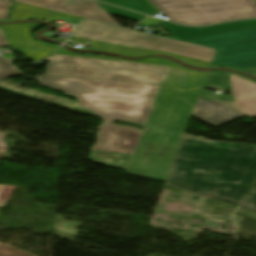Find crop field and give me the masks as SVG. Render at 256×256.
I'll return each mask as SVG.
<instances>
[{"label": "crop field", "instance_id": "1", "mask_svg": "<svg viewBox=\"0 0 256 256\" xmlns=\"http://www.w3.org/2000/svg\"><path fill=\"white\" fill-rule=\"evenodd\" d=\"M45 75L162 84L126 173L166 181L207 76L172 68L53 55Z\"/></svg>", "mask_w": 256, "mask_h": 256}, {"label": "crop field", "instance_id": "2", "mask_svg": "<svg viewBox=\"0 0 256 256\" xmlns=\"http://www.w3.org/2000/svg\"><path fill=\"white\" fill-rule=\"evenodd\" d=\"M36 82L74 96L82 107L98 114L93 162L125 170L142 131L110 123L124 120L145 123L161 85L36 75Z\"/></svg>", "mask_w": 256, "mask_h": 256}, {"label": "crop field", "instance_id": "3", "mask_svg": "<svg viewBox=\"0 0 256 256\" xmlns=\"http://www.w3.org/2000/svg\"><path fill=\"white\" fill-rule=\"evenodd\" d=\"M166 183L256 213V145L185 138Z\"/></svg>", "mask_w": 256, "mask_h": 256}, {"label": "crop field", "instance_id": "4", "mask_svg": "<svg viewBox=\"0 0 256 256\" xmlns=\"http://www.w3.org/2000/svg\"><path fill=\"white\" fill-rule=\"evenodd\" d=\"M170 21L203 25L256 17L254 0H149Z\"/></svg>", "mask_w": 256, "mask_h": 256}, {"label": "crop field", "instance_id": "5", "mask_svg": "<svg viewBox=\"0 0 256 256\" xmlns=\"http://www.w3.org/2000/svg\"><path fill=\"white\" fill-rule=\"evenodd\" d=\"M73 36L126 46L166 51L210 62L213 61L217 51L165 37L125 30L89 20L83 21Z\"/></svg>", "mask_w": 256, "mask_h": 256}, {"label": "crop field", "instance_id": "6", "mask_svg": "<svg viewBox=\"0 0 256 256\" xmlns=\"http://www.w3.org/2000/svg\"><path fill=\"white\" fill-rule=\"evenodd\" d=\"M218 49L213 64L256 67V26L184 41Z\"/></svg>", "mask_w": 256, "mask_h": 256}, {"label": "crop field", "instance_id": "7", "mask_svg": "<svg viewBox=\"0 0 256 256\" xmlns=\"http://www.w3.org/2000/svg\"><path fill=\"white\" fill-rule=\"evenodd\" d=\"M41 26L43 25L14 24L0 26V29L13 50L24 54L34 61H40L57 49L56 46L37 43L30 37L31 32Z\"/></svg>", "mask_w": 256, "mask_h": 256}, {"label": "crop field", "instance_id": "8", "mask_svg": "<svg viewBox=\"0 0 256 256\" xmlns=\"http://www.w3.org/2000/svg\"><path fill=\"white\" fill-rule=\"evenodd\" d=\"M17 2L43 7L55 11L73 14L88 19L119 26L95 1L93 0H14Z\"/></svg>", "mask_w": 256, "mask_h": 256}, {"label": "crop field", "instance_id": "9", "mask_svg": "<svg viewBox=\"0 0 256 256\" xmlns=\"http://www.w3.org/2000/svg\"><path fill=\"white\" fill-rule=\"evenodd\" d=\"M192 116L218 127L245 115L234 103L199 100Z\"/></svg>", "mask_w": 256, "mask_h": 256}, {"label": "crop field", "instance_id": "10", "mask_svg": "<svg viewBox=\"0 0 256 256\" xmlns=\"http://www.w3.org/2000/svg\"><path fill=\"white\" fill-rule=\"evenodd\" d=\"M160 25L172 34L165 37L184 41L188 39H193L197 37L229 31L233 29L253 26V25H256V20H246V21H240V22L225 23V24L214 25V26L203 27V28L184 27V26L175 25L173 23H169L166 21H163Z\"/></svg>", "mask_w": 256, "mask_h": 256}, {"label": "crop field", "instance_id": "11", "mask_svg": "<svg viewBox=\"0 0 256 256\" xmlns=\"http://www.w3.org/2000/svg\"><path fill=\"white\" fill-rule=\"evenodd\" d=\"M19 19H44L52 22L60 20L75 25H78L82 20L81 17L15 2V7L12 10L10 20Z\"/></svg>", "mask_w": 256, "mask_h": 256}, {"label": "crop field", "instance_id": "12", "mask_svg": "<svg viewBox=\"0 0 256 256\" xmlns=\"http://www.w3.org/2000/svg\"><path fill=\"white\" fill-rule=\"evenodd\" d=\"M70 40L78 41L85 43L89 40L82 39V38H74L71 37ZM91 41L92 48L91 49H97V50H107L115 53H120V54H126L130 56H141V55H147V54H153V53H160V54H166L170 56H174L184 62H187L189 64L199 66V67H210L211 63L210 62H205V61H200L196 59H191L171 53H166V52H160V51H154V50H147V49H141V48H134V47H126V46H120V45H115V44H110V43H105V42H99V41Z\"/></svg>", "mask_w": 256, "mask_h": 256}, {"label": "crop field", "instance_id": "13", "mask_svg": "<svg viewBox=\"0 0 256 256\" xmlns=\"http://www.w3.org/2000/svg\"><path fill=\"white\" fill-rule=\"evenodd\" d=\"M237 105L249 116H256V84L230 75Z\"/></svg>", "mask_w": 256, "mask_h": 256}, {"label": "crop field", "instance_id": "14", "mask_svg": "<svg viewBox=\"0 0 256 256\" xmlns=\"http://www.w3.org/2000/svg\"><path fill=\"white\" fill-rule=\"evenodd\" d=\"M54 54L85 57V58H94V59H103V60H112V61H121V62H130V63H139V64H147V65H156V66H165V67H172V68L185 70V71H189V72H193V73H199V74L207 75V73H204V72H198V71H194V70L185 69V68H183V67H181V66H179V65H177L173 62H170L168 60L161 59V58H150V59H145V60H141V61L132 62V61H127V60H122V59H117V58L73 55V54L69 53L68 51H66L62 48Z\"/></svg>", "mask_w": 256, "mask_h": 256}, {"label": "crop field", "instance_id": "15", "mask_svg": "<svg viewBox=\"0 0 256 256\" xmlns=\"http://www.w3.org/2000/svg\"><path fill=\"white\" fill-rule=\"evenodd\" d=\"M107 13L109 14H113L116 16H120L126 19H130L133 21H137L139 22L140 20H142L144 17V15H140V14H136L127 10H123L117 7H113V6H109V5H105V4H101L99 2H97Z\"/></svg>", "mask_w": 256, "mask_h": 256}, {"label": "crop field", "instance_id": "16", "mask_svg": "<svg viewBox=\"0 0 256 256\" xmlns=\"http://www.w3.org/2000/svg\"><path fill=\"white\" fill-rule=\"evenodd\" d=\"M8 46L5 38L0 31V47ZM20 74L15 71L5 60L0 57V80L19 76Z\"/></svg>", "mask_w": 256, "mask_h": 256}, {"label": "crop field", "instance_id": "17", "mask_svg": "<svg viewBox=\"0 0 256 256\" xmlns=\"http://www.w3.org/2000/svg\"><path fill=\"white\" fill-rule=\"evenodd\" d=\"M0 256H35V255L23 252L7 244L0 243Z\"/></svg>", "mask_w": 256, "mask_h": 256}, {"label": "crop field", "instance_id": "18", "mask_svg": "<svg viewBox=\"0 0 256 256\" xmlns=\"http://www.w3.org/2000/svg\"><path fill=\"white\" fill-rule=\"evenodd\" d=\"M10 2L7 0H0V19L5 18L8 12Z\"/></svg>", "mask_w": 256, "mask_h": 256}, {"label": "crop field", "instance_id": "19", "mask_svg": "<svg viewBox=\"0 0 256 256\" xmlns=\"http://www.w3.org/2000/svg\"><path fill=\"white\" fill-rule=\"evenodd\" d=\"M1 134H2V132H0V137H1ZM2 146L3 145L0 144V149H1ZM5 188H6V186L0 185V207H4V205H5V202L2 201L3 199L1 200Z\"/></svg>", "mask_w": 256, "mask_h": 256}, {"label": "crop field", "instance_id": "20", "mask_svg": "<svg viewBox=\"0 0 256 256\" xmlns=\"http://www.w3.org/2000/svg\"><path fill=\"white\" fill-rule=\"evenodd\" d=\"M211 67H224V66L211 65ZM236 69H240V68H236ZM240 70H242V71H246V70H256V68L240 69Z\"/></svg>", "mask_w": 256, "mask_h": 256}, {"label": "crop field", "instance_id": "21", "mask_svg": "<svg viewBox=\"0 0 256 256\" xmlns=\"http://www.w3.org/2000/svg\"><path fill=\"white\" fill-rule=\"evenodd\" d=\"M231 74H232V75H235V76H238V77H241V78H243V79L249 80V79L244 78V77H242V76H240V75H238V74H234V73H232V72H231ZM249 81H251V80H249ZM252 82H254V81H252ZM255 83H256V82H255Z\"/></svg>", "mask_w": 256, "mask_h": 256}, {"label": "crop field", "instance_id": "22", "mask_svg": "<svg viewBox=\"0 0 256 256\" xmlns=\"http://www.w3.org/2000/svg\"><path fill=\"white\" fill-rule=\"evenodd\" d=\"M249 74H252V75L256 76V71L255 72H249Z\"/></svg>", "mask_w": 256, "mask_h": 256}, {"label": "crop field", "instance_id": "23", "mask_svg": "<svg viewBox=\"0 0 256 256\" xmlns=\"http://www.w3.org/2000/svg\"><path fill=\"white\" fill-rule=\"evenodd\" d=\"M5 20H6V19L0 20V22H1V21H5Z\"/></svg>", "mask_w": 256, "mask_h": 256}, {"label": "crop field", "instance_id": "24", "mask_svg": "<svg viewBox=\"0 0 256 256\" xmlns=\"http://www.w3.org/2000/svg\"><path fill=\"white\" fill-rule=\"evenodd\" d=\"M11 1V0H10Z\"/></svg>", "mask_w": 256, "mask_h": 256}]
</instances>
